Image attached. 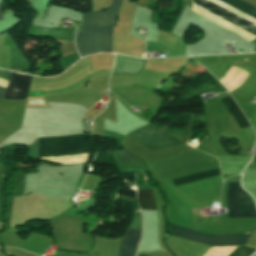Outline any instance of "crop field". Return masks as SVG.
Segmentation results:
<instances>
[{
	"label": "crop field",
	"instance_id": "28ad6ade",
	"mask_svg": "<svg viewBox=\"0 0 256 256\" xmlns=\"http://www.w3.org/2000/svg\"><path fill=\"white\" fill-rule=\"evenodd\" d=\"M218 175H220L219 170L215 169V170H211V171H207L199 174H194V175L174 179L173 182L175 186H178V185H182V184H186V183H190V182H194V181H198V180H202V179H206V178H210Z\"/></svg>",
	"mask_w": 256,
	"mask_h": 256
},
{
	"label": "crop field",
	"instance_id": "733c2abd",
	"mask_svg": "<svg viewBox=\"0 0 256 256\" xmlns=\"http://www.w3.org/2000/svg\"><path fill=\"white\" fill-rule=\"evenodd\" d=\"M140 256H142V255H140Z\"/></svg>",
	"mask_w": 256,
	"mask_h": 256
},
{
	"label": "crop field",
	"instance_id": "22f410ed",
	"mask_svg": "<svg viewBox=\"0 0 256 256\" xmlns=\"http://www.w3.org/2000/svg\"><path fill=\"white\" fill-rule=\"evenodd\" d=\"M255 251V249L246 247V246H237L230 254L229 256H248L252 254Z\"/></svg>",
	"mask_w": 256,
	"mask_h": 256
},
{
	"label": "crop field",
	"instance_id": "5a996713",
	"mask_svg": "<svg viewBox=\"0 0 256 256\" xmlns=\"http://www.w3.org/2000/svg\"><path fill=\"white\" fill-rule=\"evenodd\" d=\"M237 67L236 66H231L229 71L226 73V75L221 78L219 81L220 83H224L225 81L229 80L232 73L235 71ZM250 72L242 69V68H237L236 71L233 73L231 79L227 81L226 83L222 84L229 92L237 89L242 85V83L245 81V79L248 77Z\"/></svg>",
	"mask_w": 256,
	"mask_h": 256
},
{
	"label": "crop field",
	"instance_id": "3316defc",
	"mask_svg": "<svg viewBox=\"0 0 256 256\" xmlns=\"http://www.w3.org/2000/svg\"><path fill=\"white\" fill-rule=\"evenodd\" d=\"M221 102L224 104V106L229 111V113L232 114L233 118L238 123L240 129L250 126L247 119L239 110V108L237 107L236 103L233 101L231 96L221 99Z\"/></svg>",
	"mask_w": 256,
	"mask_h": 256
},
{
	"label": "crop field",
	"instance_id": "dd49c442",
	"mask_svg": "<svg viewBox=\"0 0 256 256\" xmlns=\"http://www.w3.org/2000/svg\"><path fill=\"white\" fill-rule=\"evenodd\" d=\"M30 76H25L11 72L10 83L7 87L3 100L17 99L23 100L27 96L28 87L31 81Z\"/></svg>",
	"mask_w": 256,
	"mask_h": 256
},
{
	"label": "crop field",
	"instance_id": "d8731c3e",
	"mask_svg": "<svg viewBox=\"0 0 256 256\" xmlns=\"http://www.w3.org/2000/svg\"><path fill=\"white\" fill-rule=\"evenodd\" d=\"M141 232L128 229L125 236L119 238L117 256H134Z\"/></svg>",
	"mask_w": 256,
	"mask_h": 256
},
{
	"label": "crop field",
	"instance_id": "412701ff",
	"mask_svg": "<svg viewBox=\"0 0 256 256\" xmlns=\"http://www.w3.org/2000/svg\"><path fill=\"white\" fill-rule=\"evenodd\" d=\"M169 225L173 235L210 246L245 245L248 238L252 234V232H249L241 234L211 236L204 233L191 231L179 226L171 224Z\"/></svg>",
	"mask_w": 256,
	"mask_h": 256
},
{
	"label": "crop field",
	"instance_id": "f4fd0767",
	"mask_svg": "<svg viewBox=\"0 0 256 256\" xmlns=\"http://www.w3.org/2000/svg\"><path fill=\"white\" fill-rule=\"evenodd\" d=\"M229 218H256V211L247 195L240 189L239 183H229L228 193Z\"/></svg>",
	"mask_w": 256,
	"mask_h": 256
},
{
	"label": "crop field",
	"instance_id": "5142ce71",
	"mask_svg": "<svg viewBox=\"0 0 256 256\" xmlns=\"http://www.w3.org/2000/svg\"><path fill=\"white\" fill-rule=\"evenodd\" d=\"M5 90V88L0 87V100H2Z\"/></svg>",
	"mask_w": 256,
	"mask_h": 256
},
{
	"label": "crop field",
	"instance_id": "d1516ede",
	"mask_svg": "<svg viewBox=\"0 0 256 256\" xmlns=\"http://www.w3.org/2000/svg\"><path fill=\"white\" fill-rule=\"evenodd\" d=\"M138 201L141 209L156 210L152 190H139Z\"/></svg>",
	"mask_w": 256,
	"mask_h": 256
},
{
	"label": "crop field",
	"instance_id": "ac0d7876",
	"mask_svg": "<svg viewBox=\"0 0 256 256\" xmlns=\"http://www.w3.org/2000/svg\"><path fill=\"white\" fill-rule=\"evenodd\" d=\"M198 7L224 19L225 21L253 34L256 36V25L227 11L226 9L208 1V0H191ZM222 2L244 12L245 14L256 19V8L241 0H221Z\"/></svg>",
	"mask_w": 256,
	"mask_h": 256
},
{
	"label": "crop field",
	"instance_id": "34b2d1b8",
	"mask_svg": "<svg viewBox=\"0 0 256 256\" xmlns=\"http://www.w3.org/2000/svg\"><path fill=\"white\" fill-rule=\"evenodd\" d=\"M88 152L83 135L39 139V159L45 156Z\"/></svg>",
	"mask_w": 256,
	"mask_h": 256
},
{
	"label": "crop field",
	"instance_id": "d9b57169",
	"mask_svg": "<svg viewBox=\"0 0 256 256\" xmlns=\"http://www.w3.org/2000/svg\"><path fill=\"white\" fill-rule=\"evenodd\" d=\"M2 5H3V4H0V20L2 19V15H3V13L1 12Z\"/></svg>",
	"mask_w": 256,
	"mask_h": 256
},
{
	"label": "crop field",
	"instance_id": "8a807250",
	"mask_svg": "<svg viewBox=\"0 0 256 256\" xmlns=\"http://www.w3.org/2000/svg\"><path fill=\"white\" fill-rule=\"evenodd\" d=\"M121 0H113L111 9L101 13L93 12L83 15V25L76 36V46L80 56L91 53L111 52V35L116 26Z\"/></svg>",
	"mask_w": 256,
	"mask_h": 256
},
{
	"label": "crop field",
	"instance_id": "cbeb9de0",
	"mask_svg": "<svg viewBox=\"0 0 256 256\" xmlns=\"http://www.w3.org/2000/svg\"><path fill=\"white\" fill-rule=\"evenodd\" d=\"M0 78L8 81L10 78V72L0 70Z\"/></svg>",
	"mask_w": 256,
	"mask_h": 256
},
{
	"label": "crop field",
	"instance_id": "e52e79f7",
	"mask_svg": "<svg viewBox=\"0 0 256 256\" xmlns=\"http://www.w3.org/2000/svg\"><path fill=\"white\" fill-rule=\"evenodd\" d=\"M145 65L146 60L116 55L111 74L137 75Z\"/></svg>",
	"mask_w": 256,
	"mask_h": 256
}]
</instances>
